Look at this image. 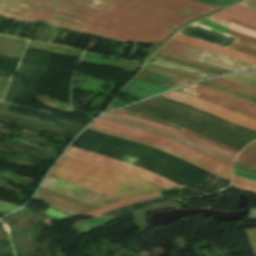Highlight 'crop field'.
<instances>
[{
    "instance_id": "ac0d7876",
    "label": "crop field",
    "mask_w": 256,
    "mask_h": 256,
    "mask_svg": "<svg viewBox=\"0 0 256 256\" xmlns=\"http://www.w3.org/2000/svg\"><path fill=\"white\" fill-rule=\"evenodd\" d=\"M92 125L99 126L105 129H109L112 131H116L125 135L141 138L150 142H154L158 145L164 146L166 148H169L173 151H176L180 154H183L187 157H190L198 162H201L207 166H210L216 170L222 171L224 173H227L231 175V165H228L226 163L220 162L214 158H211L207 155H204L198 151H195L191 148H188L182 144L173 142L171 140H168L166 138H163L161 136L155 135L153 133L127 127L124 125L112 123L109 121L98 119L96 122H94Z\"/></svg>"
},
{
    "instance_id": "ae1a2a85",
    "label": "crop field",
    "mask_w": 256,
    "mask_h": 256,
    "mask_svg": "<svg viewBox=\"0 0 256 256\" xmlns=\"http://www.w3.org/2000/svg\"><path fill=\"white\" fill-rule=\"evenodd\" d=\"M225 34L232 35V36H235V37H238V38H242V39H245V40H247L249 42H252V43H256V38L249 37V36H246V35H242V34H239V33H236V32H227Z\"/></svg>"
},
{
    "instance_id": "f4fd0767",
    "label": "crop field",
    "mask_w": 256,
    "mask_h": 256,
    "mask_svg": "<svg viewBox=\"0 0 256 256\" xmlns=\"http://www.w3.org/2000/svg\"><path fill=\"white\" fill-rule=\"evenodd\" d=\"M177 91L208 101L226 110L256 119V105L239 101L196 84L184 87Z\"/></svg>"
},
{
    "instance_id": "d8731c3e",
    "label": "crop field",
    "mask_w": 256,
    "mask_h": 256,
    "mask_svg": "<svg viewBox=\"0 0 256 256\" xmlns=\"http://www.w3.org/2000/svg\"><path fill=\"white\" fill-rule=\"evenodd\" d=\"M102 119H106V120H110V121H113V122H117V123H121V124H125V125H128V126H132V127H136V128H139V129H143V130H147V131H150V132H153L155 134H158V135H161L163 137H166L168 139H171L173 141H176V142H179V143H182L188 147H191L195 150H198L204 154H207L211 157H214L220 161H223V162H226L228 164H231L232 165V161H233V158L231 157H228L224 154H221L219 152H216L212 149H209L207 147H204V146H201L199 144H196L194 142H191V141H188L182 137H179L175 134H172V133H169L167 131H164V130H161L159 128H156V127H153V126H149V125H145V124H141V123H137V122H134V121H130V120H127V119H124V118H120V117H116V116H113V115H109V114H106L104 115L103 117H101Z\"/></svg>"
},
{
    "instance_id": "733c2abd",
    "label": "crop field",
    "mask_w": 256,
    "mask_h": 256,
    "mask_svg": "<svg viewBox=\"0 0 256 256\" xmlns=\"http://www.w3.org/2000/svg\"><path fill=\"white\" fill-rule=\"evenodd\" d=\"M157 197H159V196H158V194H157L156 192L151 193V194H148V195H142V196L132 197V198H128V199H125V200H122V201H119V202H116V203H113V204L104 206V207H102V208H100V209L91 211V212L86 213V214H84V215L98 216V215H100V214H102V213H105V212H107V211H109V210H113V209L119 208V207H121V206L130 204V203H133V202L143 201V200H148V199H153V198H157Z\"/></svg>"
},
{
    "instance_id": "92a150f3",
    "label": "crop field",
    "mask_w": 256,
    "mask_h": 256,
    "mask_svg": "<svg viewBox=\"0 0 256 256\" xmlns=\"http://www.w3.org/2000/svg\"><path fill=\"white\" fill-rule=\"evenodd\" d=\"M144 68L152 69V70H155V71H158V72H161V73H165V74H168V75H171V76H174V77H178V78H182V79H186V80H190V81H193V80H196V79H201L199 77H195V76H192V75H189V74H186V73L174 71V70H171V69L163 68V67L148 64V63H146L144 65Z\"/></svg>"
},
{
    "instance_id": "d1516ede",
    "label": "crop field",
    "mask_w": 256,
    "mask_h": 256,
    "mask_svg": "<svg viewBox=\"0 0 256 256\" xmlns=\"http://www.w3.org/2000/svg\"><path fill=\"white\" fill-rule=\"evenodd\" d=\"M172 39H175V40H178V41H181V42H184V43H187V44H190V45H193V46H196V47H199V48H202V49L214 52V53H218V54L225 55L228 57L236 58V59L246 61V62L256 65L255 58H252V57H249V56H246L243 54H239V53H236L233 51L225 50V49L219 48V47L211 45V44L197 41V40H194V39H191L188 37H184V36H181L178 34H176Z\"/></svg>"
},
{
    "instance_id": "1d83c4d3",
    "label": "crop field",
    "mask_w": 256,
    "mask_h": 256,
    "mask_svg": "<svg viewBox=\"0 0 256 256\" xmlns=\"http://www.w3.org/2000/svg\"><path fill=\"white\" fill-rule=\"evenodd\" d=\"M248 1H251V2H254V3H256V0H248Z\"/></svg>"
},
{
    "instance_id": "bd1437ed",
    "label": "crop field",
    "mask_w": 256,
    "mask_h": 256,
    "mask_svg": "<svg viewBox=\"0 0 256 256\" xmlns=\"http://www.w3.org/2000/svg\"><path fill=\"white\" fill-rule=\"evenodd\" d=\"M115 107H111V106H109V108L106 110V111H109V110H112V109H114ZM106 111H104V112H106ZM103 112V113H104Z\"/></svg>"
},
{
    "instance_id": "750c4746",
    "label": "crop field",
    "mask_w": 256,
    "mask_h": 256,
    "mask_svg": "<svg viewBox=\"0 0 256 256\" xmlns=\"http://www.w3.org/2000/svg\"><path fill=\"white\" fill-rule=\"evenodd\" d=\"M240 5L250 8V9H253V10H256V4L248 2V1H243Z\"/></svg>"
},
{
    "instance_id": "a9b5d70f",
    "label": "crop field",
    "mask_w": 256,
    "mask_h": 256,
    "mask_svg": "<svg viewBox=\"0 0 256 256\" xmlns=\"http://www.w3.org/2000/svg\"><path fill=\"white\" fill-rule=\"evenodd\" d=\"M117 112L133 115V116H136V117H139V118H145V119L153 120V121H156V122H159V123H163V124L172 126V127L176 128L178 130H180L182 128L181 126L176 125V124L171 123V122H168V121L156 119V118H153V117L145 116V115H142V114H138V113L127 111V110H123V109H120Z\"/></svg>"
},
{
    "instance_id": "412701ff",
    "label": "crop field",
    "mask_w": 256,
    "mask_h": 256,
    "mask_svg": "<svg viewBox=\"0 0 256 256\" xmlns=\"http://www.w3.org/2000/svg\"><path fill=\"white\" fill-rule=\"evenodd\" d=\"M65 156L73 157V158H76L79 160L94 163V164L108 167L111 169L123 171V172L129 173V174L147 179V180H149L153 183H156L166 189L182 187L172 181H169L161 176L150 173L144 169H141V168L135 167L133 165L117 161V160H113V159H110L107 157H103V156L96 155L93 153L78 150L75 148L69 147V149L65 153Z\"/></svg>"
},
{
    "instance_id": "3316defc",
    "label": "crop field",
    "mask_w": 256,
    "mask_h": 256,
    "mask_svg": "<svg viewBox=\"0 0 256 256\" xmlns=\"http://www.w3.org/2000/svg\"><path fill=\"white\" fill-rule=\"evenodd\" d=\"M88 129H91V130L97 131V132H101V133H105V134H109V135H112V136H115V137H119V138H122V139L130 140V141H133V142H137V143H140V144H144V145H147V146L159 149V150H161V151H163L165 153H168V154H170V155H172L174 157H177L179 159L187 161V162H189V163H191V164H193V165H195V166H197V167H199V168H201V169H203V170H205V171H207V172H209L211 174H214V175H216V176H218L220 178H223V179L231 181V177L226 175V174H224V173H221V172H218L216 170H213V169H211V168H209V167H207V166H205V165H203L201 163H198V162L193 161V160H191L189 158L181 156V155H179V154H177V153H175V152H173L171 150H168V149L163 148L161 146H158L156 144H153V143H150V142H146V141H142V140H138V139H135V138H132V137H128V136H125V135L117 134V133H114V132H111V131H108V130H105V129H102V128H98V127H95V126H90Z\"/></svg>"
},
{
    "instance_id": "dafd665d",
    "label": "crop field",
    "mask_w": 256,
    "mask_h": 256,
    "mask_svg": "<svg viewBox=\"0 0 256 256\" xmlns=\"http://www.w3.org/2000/svg\"><path fill=\"white\" fill-rule=\"evenodd\" d=\"M231 185L237 186L241 190L256 193V181L254 180L233 175V183Z\"/></svg>"
},
{
    "instance_id": "22f410ed",
    "label": "crop field",
    "mask_w": 256,
    "mask_h": 256,
    "mask_svg": "<svg viewBox=\"0 0 256 256\" xmlns=\"http://www.w3.org/2000/svg\"><path fill=\"white\" fill-rule=\"evenodd\" d=\"M234 170L256 175V144L247 145L234 162Z\"/></svg>"
},
{
    "instance_id": "bc2a9ffb",
    "label": "crop field",
    "mask_w": 256,
    "mask_h": 256,
    "mask_svg": "<svg viewBox=\"0 0 256 256\" xmlns=\"http://www.w3.org/2000/svg\"><path fill=\"white\" fill-rule=\"evenodd\" d=\"M208 81H211V82L219 84L221 86H224V87H227V88H230V89H233V90H236V91H239V92H242V93H245V94L256 97V90L255 89L229 82V81H227L223 78H216V79H212V80H208Z\"/></svg>"
},
{
    "instance_id": "00972430",
    "label": "crop field",
    "mask_w": 256,
    "mask_h": 256,
    "mask_svg": "<svg viewBox=\"0 0 256 256\" xmlns=\"http://www.w3.org/2000/svg\"><path fill=\"white\" fill-rule=\"evenodd\" d=\"M208 19L211 20V21H213V22H215V23H217V24H219V25H221V26H224V27H226V28H229V29H231V30H235V31H237V32H239V33H243V34H246V35H249V36L256 37V33H255V32H252V31H249V30H247V29L241 28V27H239V26H237V25H234V24H232V23H230V22H227V21H225V20L216 18V17H214V16H211V17H209Z\"/></svg>"
},
{
    "instance_id": "5a996713",
    "label": "crop field",
    "mask_w": 256,
    "mask_h": 256,
    "mask_svg": "<svg viewBox=\"0 0 256 256\" xmlns=\"http://www.w3.org/2000/svg\"><path fill=\"white\" fill-rule=\"evenodd\" d=\"M36 199L61 207L79 215L100 206L41 187Z\"/></svg>"
},
{
    "instance_id": "d9b57169",
    "label": "crop field",
    "mask_w": 256,
    "mask_h": 256,
    "mask_svg": "<svg viewBox=\"0 0 256 256\" xmlns=\"http://www.w3.org/2000/svg\"><path fill=\"white\" fill-rule=\"evenodd\" d=\"M221 13L231 16V17H233L237 20L243 21L245 23L256 26V11L236 5V6L230 8V9H227Z\"/></svg>"
},
{
    "instance_id": "cbeb9de0",
    "label": "crop field",
    "mask_w": 256,
    "mask_h": 256,
    "mask_svg": "<svg viewBox=\"0 0 256 256\" xmlns=\"http://www.w3.org/2000/svg\"><path fill=\"white\" fill-rule=\"evenodd\" d=\"M111 114L117 115V116H120V117H124V118H127V119H131V120H134V121H137V122H141V123H145V124H149V125H153V126L159 127L161 129H164V130H167L169 132L175 133V134H177L179 136H182V137H184V138H186L188 140L194 141L196 143L202 144L204 146H207L209 148L217 150V151H219L221 153L229 155V156H231L233 158H235V156H236V154H234V153H231V152H228L226 150H223V149H220L218 147H215V146H213L211 144H208V143H206L204 141H201V140H199V139H197L195 137H192V136H190L188 134H185V133H183L181 131H178V130L172 128V127H169V126H166V125H162V124H159V123H156V122H153V121L145 120V119H139V118H136V117H133V116H129V115H125V114H121V113H117V112H113Z\"/></svg>"
},
{
    "instance_id": "4a817a6b",
    "label": "crop field",
    "mask_w": 256,
    "mask_h": 256,
    "mask_svg": "<svg viewBox=\"0 0 256 256\" xmlns=\"http://www.w3.org/2000/svg\"><path fill=\"white\" fill-rule=\"evenodd\" d=\"M196 84L201 85V86H204V87L209 88V89H212V90H215V91H217V92L226 94V95H228V96L237 98V99H239V100L256 104V98H255V97H251V96H248V95H245V94H242V93H239V92H236V91H233V90H230V89L221 87V86L216 85V84H213V83H211V82L202 81V82H197Z\"/></svg>"
},
{
    "instance_id": "28ad6ade",
    "label": "crop field",
    "mask_w": 256,
    "mask_h": 256,
    "mask_svg": "<svg viewBox=\"0 0 256 256\" xmlns=\"http://www.w3.org/2000/svg\"><path fill=\"white\" fill-rule=\"evenodd\" d=\"M154 57H158L164 60H168L174 63H178L184 66H188L191 68H195L198 70L205 71L207 73L215 74V75H221V74H227V73H233L232 71H228L219 67H215L209 64L193 61L187 58L179 57L174 54H170L164 51L158 50Z\"/></svg>"
},
{
    "instance_id": "dd49c442",
    "label": "crop field",
    "mask_w": 256,
    "mask_h": 256,
    "mask_svg": "<svg viewBox=\"0 0 256 256\" xmlns=\"http://www.w3.org/2000/svg\"><path fill=\"white\" fill-rule=\"evenodd\" d=\"M178 34L186 35L191 38L208 42L240 53H243V51L249 45V42L245 40L222 34L207 27H202L196 23L184 28L178 32Z\"/></svg>"
},
{
    "instance_id": "8a807250",
    "label": "crop field",
    "mask_w": 256,
    "mask_h": 256,
    "mask_svg": "<svg viewBox=\"0 0 256 256\" xmlns=\"http://www.w3.org/2000/svg\"><path fill=\"white\" fill-rule=\"evenodd\" d=\"M49 176L121 198L163 190L147 180L65 156Z\"/></svg>"
},
{
    "instance_id": "eef30255",
    "label": "crop field",
    "mask_w": 256,
    "mask_h": 256,
    "mask_svg": "<svg viewBox=\"0 0 256 256\" xmlns=\"http://www.w3.org/2000/svg\"><path fill=\"white\" fill-rule=\"evenodd\" d=\"M247 232H248L251 246L256 254V230H248Z\"/></svg>"
},
{
    "instance_id": "d3111659",
    "label": "crop field",
    "mask_w": 256,
    "mask_h": 256,
    "mask_svg": "<svg viewBox=\"0 0 256 256\" xmlns=\"http://www.w3.org/2000/svg\"><path fill=\"white\" fill-rule=\"evenodd\" d=\"M164 43L162 42H156L153 44L151 50L149 51V53L146 55V57L144 58L143 62H145L161 45H163Z\"/></svg>"
},
{
    "instance_id": "214f88e0",
    "label": "crop field",
    "mask_w": 256,
    "mask_h": 256,
    "mask_svg": "<svg viewBox=\"0 0 256 256\" xmlns=\"http://www.w3.org/2000/svg\"><path fill=\"white\" fill-rule=\"evenodd\" d=\"M224 78L229 81L236 82L256 89V72L239 74Z\"/></svg>"
},
{
    "instance_id": "730fd06b",
    "label": "crop field",
    "mask_w": 256,
    "mask_h": 256,
    "mask_svg": "<svg viewBox=\"0 0 256 256\" xmlns=\"http://www.w3.org/2000/svg\"><path fill=\"white\" fill-rule=\"evenodd\" d=\"M214 16H217V17H219V18L225 19V20L230 21V22H232V23H234V24H237V25H239V26H241V27H244V28H247V29H249V30H252V31H255V32H256V27L251 26V25H248V24H245V23L240 22V21H237V20H235V19H233V18H231V17H228V16H226V15H223V14H221V13H218V14H216V15H214Z\"/></svg>"
},
{
    "instance_id": "e52e79f7",
    "label": "crop field",
    "mask_w": 256,
    "mask_h": 256,
    "mask_svg": "<svg viewBox=\"0 0 256 256\" xmlns=\"http://www.w3.org/2000/svg\"><path fill=\"white\" fill-rule=\"evenodd\" d=\"M162 96H165V97L173 99L175 101L196 107L198 109H201V110H204V111H207L210 113H213L217 116H220L224 119H227V120L234 122L236 124H239L241 126L256 130V120L226 111V110L219 108L215 105H212L208 102L184 95V94L176 92V91L169 92Z\"/></svg>"
},
{
    "instance_id": "5142ce71",
    "label": "crop field",
    "mask_w": 256,
    "mask_h": 256,
    "mask_svg": "<svg viewBox=\"0 0 256 256\" xmlns=\"http://www.w3.org/2000/svg\"><path fill=\"white\" fill-rule=\"evenodd\" d=\"M136 79L160 84L163 86H167L170 88L182 85L184 83L190 82L178 78H174L165 74H161L152 70L144 69L140 71V73L137 75Z\"/></svg>"
},
{
    "instance_id": "34b2d1b8",
    "label": "crop field",
    "mask_w": 256,
    "mask_h": 256,
    "mask_svg": "<svg viewBox=\"0 0 256 256\" xmlns=\"http://www.w3.org/2000/svg\"><path fill=\"white\" fill-rule=\"evenodd\" d=\"M170 53L182 55L193 60L209 63L235 72L256 68V66L242 62L236 59L217 55L175 40L170 39L164 46L160 48Z\"/></svg>"
},
{
    "instance_id": "120bbe31",
    "label": "crop field",
    "mask_w": 256,
    "mask_h": 256,
    "mask_svg": "<svg viewBox=\"0 0 256 256\" xmlns=\"http://www.w3.org/2000/svg\"><path fill=\"white\" fill-rule=\"evenodd\" d=\"M254 142H256V141H254Z\"/></svg>"
},
{
    "instance_id": "4177f3b9",
    "label": "crop field",
    "mask_w": 256,
    "mask_h": 256,
    "mask_svg": "<svg viewBox=\"0 0 256 256\" xmlns=\"http://www.w3.org/2000/svg\"><path fill=\"white\" fill-rule=\"evenodd\" d=\"M181 131H183V132H185V133H188V134H190V135H192V136H195V137H197V138H199V139H201V140H204V141H206V142H208V143H211V144H213V145H215V146H218V147H220V148L226 149V150L231 151V152H234V153H236V154L239 153V151H237V150H235V149H232V148L227 147V146H225V145H222V144H219V143L214 142V141H212V140H209V139H207V138H204V137H202V136H200V135H198V134H196V133H193V132H191V131H189V130H187V129H185V128L181 129Z\"/></svg>"
}]
</instances>
